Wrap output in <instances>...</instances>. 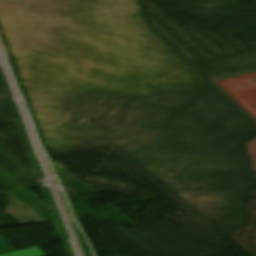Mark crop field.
<instances>
[{"label":"crop field","instance_id":"1","mask_svg":"<svg viewBox=\"0 0 256 256\" xmlns=\"http://www.w3.org/2000/svg\"><path fill=\"white\" fill-rule=\"evenodd\" d=\"M0 256H47V255L42 251H40L38 248L33 247V248L12 252V253L0 255Z\"/></svg>","mask_w":256,"mask_h":256}]
</instances>
